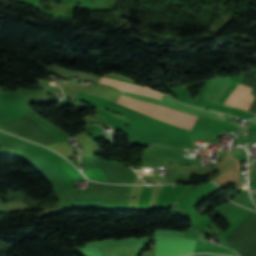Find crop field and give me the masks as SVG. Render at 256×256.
Listing matches in <instances>:
<instances>
[{
	"mask_svg": "<svg viewBox=\"0 0 256 256\" xmlns=\"http://www.w3.org/2000/svg\"><path fill=\"white\" fill-rule=\"evenodd\" d=\"M148 116L191 130L197 117L121 95L117 101Z\"/></svg>",
	"mask_w": 256,
	"mask_h": 256,
	"instance_id": "obj_1",
	"label": "crop field"
},
{
	"mask_svg": "<svg viewBox=\"0 0 256 256\" xmlns=\"http://www.w3.org/2000/svg\"><path fill=\"white\" fill-rule=\"evenodd\" d=\"M195 239L167 237L156 240L155 256H184L194 251Z\"/></svg>",
	"mask_w": 256,
	"mask_h": 256,
	"instance_id": "obj_2",
	"label": "crop field"
},
{
	"mask_svg": "<svg viewBox=\"0 0 256 256\" xmlns=\"http://www.w3.org/2000/svg\"><path fill=\"white\" fill-rule=\"evenodd\" d=\"M122 94L127 95V96H131V97H134V98L142 99V100H145V101H149V102H152V103L160 104V105H163V106H166V107H169V108H173V109H176V110H179V111H182V112H186V113H189V114L223 121V122H226V123L238 126V127L240 126L239 124H235V123H232V122H229V121L219 119L222 115L221 113L194 108L192 106L176 102V101L172 100L170 97H168L166 95H163L162 99L158 100V99H153V98H149V97H145V96H141V95H137V94H133V93H128V92H124V91H122Z\"/></svg>",
	"mask_w": 256,
	"mask_h": 256,
	"instance_id": "obj_3",
	"label": "crop field"
},
{
	"mask_svg": "<svg viewBox=\"0 0 256 256\" xmlns=\"http://www.w3.org/2000/svg\"><path fill=\"white\" fill-rule=\"evenodd\" d=\"M100 83L114 86L120 90L133 92V93H137V94H142V95H146V96H150V97H154V98H158V99H160L162 96V93L152 91L148 88H144V87H140V86H136V85H132V84H128L125 82L108 79V78H104V77L101 78Z\"/></svg>",
	"mask_w": 256,
	"mask_h": 256,
	"instance_id": "obj_4",
	"label": "crop field"
},
{
	"mask_svg": "<svg viewBox=\"0 0 256 256\" xmlns=\"http://www.w3.org/2000/svg\"><path fill=\"white\" fill-rule=\"evenodd\" d=\"M136 244L137 242L103 248L102 250L106 256H134Z\"/></svg>",
	"mask_w": 256,
	"mask_h": 256,
	"instance_id": "obj_5",
	"label": "crop field"
},
{
	"mask_svg": "<svg viewBox=\"0 0 256 256\" xmlns=\"http://www.w3.org/2000/svg\"><path fill=\"white\" fill-rule=\"evenodd\" d=\"M137 174L145 181L154 183V184H159L162 183L165 177H162L157 174H150V173H140L137 172Z\"/></svg>",
	"mask_w": 256,
	"mask_h": 256,
	"instance_id": "obj_6",
	"label": "crop field"
}]
</instances>
